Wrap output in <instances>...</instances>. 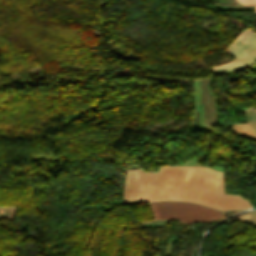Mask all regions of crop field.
<instances>
[{
  "instance_id": "4",
  "label": "crop field",
  "mask_w": 256,
  "mask_h": 256,
  "mask_svg": "<svg viewBox=\"0 0 256 256\" xmlns=\"http://www.w3.org/2000/svg\"><path fill=\"white\" fill-rule=\"evenodd\" d=\"M159 173H143L138 169L127 172L123 202L154 201Z\"/></svg>"
},
{
  "instance_id": "8",
  "label": "crop field",
  "mask_w": 256,
  "mask_h": 256,
  "mask_svg": "<svg viewBox=\"0 0 256 256\" xmlns=\"http://www.w3.org/2000/svg\"><path fill=\"white\" fill-rule=\"evenodd\" d=\"M244 5H256V0H239Z\"/></svg>"
},
{
  "instance_id": "1",
  "label": "crop field",
  "mask_w": 256,
  "mask_h": 256,
  "mask_svg": "<svg viewBox=\"0 0 256 256\" xmlns=\"http://www.w3.org/2000/svg\"><path fill=\"white\" fill-rule=\"evenodd\" d=\"M195 202L223 210L250 208L240 196L223 194V172L205 167H161L156 199Z\"/></svg>"
},
{
  "instance_id": "6",
  "label": "crop field",
  "mask_w": 256,
  "mask_h": 256,
  "mask_svg": "<svg viewBox=\"0 0 256 256\" xmlns=\"http://www.w3.org/2000/svg\"><path fill=\"white\" fill-rule=\"evenodd\" d=\"M233 126H234L235 132H237L238 134L255 139L248 124H233Z\"/></svg>"
},
{
  "instance_id": "2",
  "label": "crop field",
  "mask_w": 256,
  "mask_h": 256,
  "mask_svg": "<svg viewBox=\"0 0 256 256\" xmlns=\"http://www.w3.org/2000/svg\"><path fill=\"white\" fill-rule=\"evenodd\" d=\"M149 204L154 219H178L185 223L212 222L224 215L221 211L191 203L161 202Z\"/></svg>"
},
{
  "instance_id": "3",
  "label": "crop field",
  "mask_w": 256,
  "mask_h": 256,
  "mask_svg": "<svg viewBox=\"0 0 256 256\" xmlns=\"http://www.w3.org/2000/svg\"><path fill=\"white\" fill-rule=\"evenodd\" d=\"M225 52L235 56L223 65L210 67L215 75L234 73L256 63V32L245 29L227 47Z\"/></svg>"
},
{
  "instance_id": "9",
  "label": "crop field",
  "mask_w": 256,
  "mask_h": 256,
  "mask_svg": "<svg viewBox=\"0 0 256 256\" xmlns=\"http://www.w3.org/2000/svg\"><path fill=\"white\" fill-rule=\"evenodd\" d=\"M255 13H256V8H255Z\"/></svg>"
},
{
  "instance_id": "7",
  "label": "crop field",
  "mask_w": 256,
  "mask_h": 256,
  "mask_svg": "<svg viewBox=\"0 0 256 256\" xmlns=\"http://www.w3.org/2000/svg\"><path fill=\"white\" fill-rule=\"evenodd\" d=\"M231 219L232 220H244V221L256 223V211L240 214Z\"/></svg>"
},
{
  "instance_id": "5",
  "label": "crop field",
  "mask_w": 256,
  "mask_h": 256,
  "mask_svg": "<svg viewBox=\"0 0 256 256\" xmlns=\"http://www.w3.org/2000/svg\"><path fill=\"white\" fill-rule=\"evenodd\" d=\"M248 118L249 125L256 137V109L255 107H249L245 109Z\"/></svg>"
}]
</instances>
